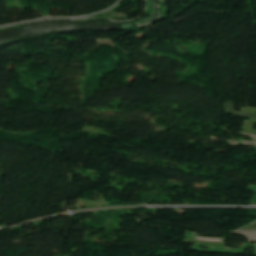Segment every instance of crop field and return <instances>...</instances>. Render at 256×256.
I'll return each mask as SVG.
<instances>
[{
    "mask_svg": "<svg viewBox=\"0 0 256 256\" xmlns=\"http://www.w3.org/2000/svg\"><path fill=\"white\" fill-rule=\"evenodd\" d=\"M225 106L227 108L228 113H230V114H234V115L247 117V118H251V119L256 120V115L255 114H251V113H247V112H243V111H241L240 114L236 113L235 106H234L233 103H227Z\"/></svg>",
    "mask_w": 256,
    "mask_h": 256,
    "instance_id": "1",
    "label": "crop field"
},
{
    "mask_svg": "<svg viewBox=\"0 0 256 256\" xmlns=\"http://www.w3.org/2000/svg\"><path fill=\"white\" fill-rule=\"evenodd\" d=\"M186 242L197 243V245H199V246H211V247H223V248H227V247L225 246L226 243L203 242V241L190 240V239H187Z\"/></svg>",
    "mask_w": 256,
    "mask_h": 256,
    "instance_id": "2",
    "label": "crop field"
},
{
    "mask_svg": "<svg viewBox=\"0 0 256 256\" xmlns=\"http://www.w3.org/2000/svg\"><path fill=\"white\" fill-rule=\"evenodd\" d=\"M234 234H242L246 236L249 241H256V231H238L235 232Z\"/></svg>",
    "mask_w": 256,
    "mask_h": 256,
    "instance_id": "3",
    "label": "crop field"
},
{
    "mask_svg": "<svg viewBox=\"0 0 256 256\" xmlns=\"http://www.w3.org/2000/svg\"><path fill=\"white\" fill-rule=\"evenodd\" d=\"M239 134L256 138V135L245 133V132H240ZM245 145L256 147V141L255 140H253L252 142L247 141Z\"/></svg>",
    "mask_w": 256,
    "mask_h": 256,
    "instance_id": "4",
    "label": "crop field"
},
{
    "mask_svg": "<svg viewBox=\"0 0 256 256\" xmlns=\"http://www.w3.org/2000/svg\"><path fill=\"white\" fill-rule=\"evenodd\" d=\"M243 230H256V224L249 226L248 229H243Z\"/></svg>",
    "mask_w": 256,
    "mask_h": 256,
    "instance_id": "5",
    "label": "crop field"
},
{
    "mask_svg": "<svg viewBox=\"0 0 256 256\" xmlns=\"http://www.w3.org/2000/svg\"><path fill=\"white\" fill-rule=\"evenodd\" d=\"M249 190H252L256 193V186L248 187Z\"/></svg>",
    "mask_w": 256,
    "mask_h": 256,
    "instance_id": "6",
    "label": "crop field"
},
{
    "mask_svg": "<svg viewBox=\"0 0 256 256\" xmlns=\"http://www.w3.org/2000/svg\"><path fill=\"white\" fill-rule=\"evenodd\" d=\"M253 201H256V195H255V198H254V200Z\"/></svg>",
    "mask_w": 256,
    "mask_h": 256,
    "instance_id": "7",
    "label": "crop field"
}]
</instances>
